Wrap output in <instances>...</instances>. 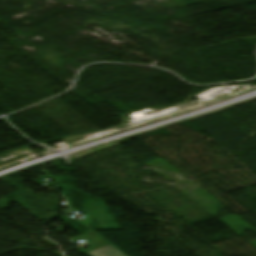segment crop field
<instances>
[{
    "label": "crop field",
    "instance_id": "8a807250",
    "mask_svg": "<svg viewBox=\"0 0 256 256\" xmlns=\"http://www.w3.org/2000/svg\"><path fill=\"white\" fill-rule=\"evenodd\" d=\"M88 255L90 256H126L125 254L121 253L118 249H116L112 245L93 251L91 253H88Z\"/></svg>",
    "mask_w": 256,
    "mask_h": 256
}]
</instances>
